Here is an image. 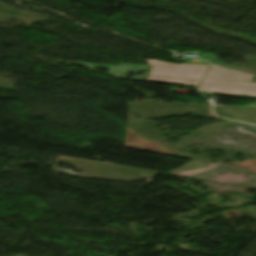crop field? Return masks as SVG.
I'll list each match as a JSON object with an SVG mask.
<instances>
[{
  "mask_svg": "<svg viewBox=\"0 0 256 256\" xmlns=\"http://www.w3.org/2000/svg\"><path fill=\"white\" fill-rule=\"evenodd\" d=\"M145 61L151 63L153 66L148 81L192 86H197L208 67L191 64L178 65L152 59H146Z\"/></svg>",
  "mask_w": 256,
  "mask_h": 256,
  "instance_id": "8a807250",
  "label": "crop field"
},
{
  "mask_svg": "<svg viewBox=\"0 0 256 256\" xmlns=\"http://www.w3.org/2000/svg\"><path fill=\"white\" fill-rule=\"evenodd\" d=\"M209 86H212V88H208ZM200 90L233 94L246 93L256 96V83L205 78L200 86Z\"/></svg>",
  "mask_w": 256,
  "mask_h": 256,
  "instance_id": "ac0d7876",
  "label": "crop field"
},
{
  "mask_svg": "<svg viewBox=\"0 0 256 256\" xmlns=\"http://www.w3.org/2000/svg\"><path fill=\"white\" fill-rule=\"evenodd\" d=\"M253 75L254 74L236 70H227L224 67L212 65L206 77L251 81Z\"/></svg>",
  "mask_w": 256,
  "mask_h": 256,
  "instance_id": "34b2d1b8",
  "label": "crop field"
},
{
  "mask_svg": "<svg viewBox=\"0 0 256 256\" xmlns=\"http://www.w3.org/2000/svg\"><path fill=\"white\" fill-rule=\"evenodd\" d=\"M202 93H207V94H216V95H225V96H234V97H244V98H253L256 99V97L253 96H244V95H233V94H223V93H213V92H205L201 91Z\"/></svg>",
  "mask_w": 256,
  "mask_h": 256,
  "instance_id": "412701ff",
  "label": "crop field"
}]
</instances>
